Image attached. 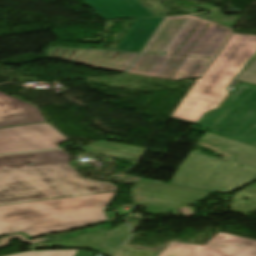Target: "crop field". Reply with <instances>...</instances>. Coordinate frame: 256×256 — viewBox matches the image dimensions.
Masks as SVG:
<instances>
[{
	"instance_id": "obj_20",
	"label": "crop field",
	"mask_w": 256,
	"mask_h": 256,
	"mask_svg": "<svg viewBox=\"0 0 256 256\" xmlns=\"http://www.w3.org/2000/svg\"><path fill=\"white\" fill-rule=\"evenodd\" d=\"M145 207H146V213H148V214H163V213L170 212L173 210L170 208H163V207L153 206V205H149V206H145Z\"/></svg>"
},
{
	"instance_id": "obj_10",
	"label": "crop field",
	"mask_w": 256,
	"mask_h": 256,
	"mask_svg": "<svg viewBox=\"0 0 256 256\" xmlns=\"http://www.w3.org/2000/svg\"><path fill=\"white\" fill-rule=\"evenodd\" d=\"M209 193L187 187L141 179L135 192V200L140 205L154 204L178 208L180 205H190Z\"/></svg>"
},
{
	"instance_id": "obj_5",
	"label": "crop field",
	"mask_w": 256,
	"mask_h": 256,
	"mask_svg": "<svg viewBox=\"0 0 256 256\" xmlns=\"http://www.w3.org/2000/svg\"><path fill=\"white\" fill-rule=\"evenodd\" d=\"M255 52L256 36L233 34L171 117L196 124L206 112L218 108L228 95L227 85Z\"/></svg>"
},
{
	"instance_id": "obj_7",
	"label": "crop field",
	"mask_w": 256,
	"mask_h": 256,
	"mask_svg": "<svg viewBox=\"0 0 256 256\" xmlns=\"http://www.w3.org/2000/svg\"><path fill=\"white\" fill-rule=\"evenodd\" d=\"M69 140L48 123L0 129V153L61 148Z\"/></svg>"
},
{
	"instance_id": "obj_15",
	"label": "crop field",
	"mask_w": 256,
	"mask_h": 256,
	"mask_svg": "<svg viewBox=\"0 0 256 256\" xmlns=\"http://www.w3.org/2000/svg\"><path fill=\"white\" fill-rule=\"evenodd\" d=\"M130 233V229L127 225H120L114 230H111L107 233L103 243L101 244L99 251L107 254L115 247L119 246Z\"/></svg>"
},
{
	"instance_id": "obj_22",
	"label": "crop field",
	"mask_w": 256,
	"mask_h": 256,
	"mask_svg": "<svg viewBox=\"0 0 256 256\" xmlns=\"http://www.w3.org/2000/svg\"><path fill=\"white\" fill-rule=\"evenodd\" d=\"M238 83H239V81L234 80V81L232 82L231 86H232V87H235Z\"/></svg>"
},
{
	"instance_id": "obj_18",
	"label": "crop field",
	"mask_w": 256,
	"mask_h": 256,
	"mask_svg": "<svg viewBox=\"0 0 256 256\" xmlns=\"http://www.w3.org/2000/svg\"><path fill=\"white\" fill-rule=\"evenodd\" d=\"M157 253L133 250L128 248L116 249L109 256H158Z\"/></svg>"
},
{
	"instance_id": "obj_14",
	"label": "crop field",
	"mask_w": 256,
	"mask_h": 256,
	"mask_svg": "<svg viewBox=\"0 0 256 256\" xmlns=\"http://www.w3.org/2000/svg\"><path fill=\"white\" fill-rule=\"evenodd\" d=\"M82 149L90 153L102 154L136 161H139L141 156L146 151V149L144 148L131 147L106 142H101L91 146L82 147Z\"/></svg>"
},
{
	"instance_id": "obj_16",
	"label": "crop field",
	"mask_w": 256,
	"mask_h": 256,
	"mask_svg": "<svg viewBox=\"0 0 256 256\" xmlns=\"http://www.w3.org/2000/svg\"><path fill=\"white\" fill-rule=\"evenodd\" d=\"M235 79L256 84V56Z\"/></svg>"
},
{
	"instance_id": "obj_17",
	"label": "crop field",
	"mask_w": 256,
	"mask_h": 256,
	"mask_svg": "<svg viewBox=\"0 0 256 256\" xmlns=\"http://www.w3.org/2000/svg\"><path fill=\"white\" fill-rule=\"evenodd\" d=\"M75 252L76 250L30 251L11 256H73Z\"/></svg>"
},
{
	"instance_id": "obj_19",
	"label": "crop field",
	"mask_w": 256,
	"mask_h": 256,
	"mask_svg": "<svg viewBox=\"0 0 256 256\" xmlns=\"http://www.w3.org/2000/svg\"><path fill=\"white\" fill-rule=\"evenodd\" d=\"M219 111H220V109L206 115L203 118V120L200 122L199 126H201L206 131V129L211 124V122L213 121V119L215 118V116L218 114Z\"/></svg>"
},
{
	"instance_id": "obj_4",
	"label": "crop field",
	"mask_w": 256,
	"mask_h": 256,
	"mask_svg": "<svg viewBox=\"0 0 256 256\" xmlns=\"http://www.w3.org/2000/svg\"><path fill=\"white\" fill-rule=\"evenodd\" d=\"M197 146L225 155L223 161L191 151L172 184L227 193L256 180V146L208 132Z\"/></svg>"
},
{
	"instance_id": "obj_12",
	"label": "crop field",
	"mask_w": 256,
	"mask_h": 256,
	"mask_svg": "<svg viewBox=\"0 0 256 256\" xmlns=\"http://www.w3.org/2000/svg\"><path fill=\"white\" fill-rule=\"evenodd\" d=\"M104 19L157 16L138 0H81Z\"/></svg>"
},
{
	"instance_id": "obj_3",
	"label": "crop field",
	"mask_w": 256,
	"mask_h": 256,
	"mask_svg": "<svg viewBox=\"0 0 256 256\" xmlns=\"http://www.w3.org/2000/svg\"><path fill=\"white\" fill-rule=\"evenodd\" d=\"M117 191L0 205V236L23 232L33 238L106 221Z\"/></svg>"
},
{
	"instance_id": "obj_11",
	"label": "crop field",
	"mask_w": 256,
	"mask_h": 256,
	"mask_svg": "<svg viewBox=\"0 0 256 256\" xmlns=\"http://www.w3.org/2000/svg\"><path fill=\"white\" fill-rule=\"evenodd\" d=\"M43 122L37 107L0 92V128Z\"/></svg>"
},
{
	"instance_id": "obj_6",
	"label": "crop field",
	"mask_w": 256,
	"mask_h": 256,
	"mask_svg": "<svg viewBox=\"0 0 256 256\" xmlns=\"http://www.w3.org/2000/svg\"><path fill=\"white\" fill-rule=\"evenodd\" d=\"M208 130L256 145V85H237Z\"/></svg>"
},
{
	"instance_id": "obj_8",
	"label": "crop field",
	"mask_w": 256,
	"mask_h": 256,
	"mask_svg": "<svg viewBox=\"0 0 256 256\" xmlns=\"http://www.w3.org/2000/svg\"><path fill=\"white\" fill-rule=\"evenodd\" d=\"M159 256H256V241L219 232L204 246L170 242Z\"/></svg>"
},
{
	"instance_id": "obj_21",
	"label": "crop field",
	"mask_w": 256,
	"mask_h": 256,
	"mask_svg": "<svg viewBox=\"0 0 256 256\" xmlns=\"http://www.w3.org/2000/svg\"><path fill=\"white\" fill-rule=\"evenodd\" d=\"M94 254V252L78 250L74 256H93Z\"/></svg>"
},
{
	"instance_id": "obj_2",
	"label": "crop field",
	"mask_w": 256,
	"mask_h": 256,
	"mask_svg": "<svg viewBox=\"0 0 256 256\" xmlns=\"http://www.w3.org/2000/svg\"><path fill=\"white\" fill-rule=\"evenodd\" d=\"M114 190V183L83 177L63 151L0 156V204Z\"/></svg>"
},
{
	"instance_id": "obj_9",
	"label": "crop field",
	"mask_w": 256,
	"mask_h": 256,
	"mask_svg": "<svg viewBox=\"0 0 256 256\" xmlns=\"http://www.w3.org/2000/svg\"><path fill=\"white\" fill-rule=\"evenodd\" d=\"M137 53L53 46L49 57L101 69L125 72Z\"/></svg>"
},
{
	"instance_id": "obj_1",
	"label": "crop field",
	"mask_w": 256,
	"mask_h": 256,
	"mask_svg": "<svg viewBox=\"0 0 256 256\" xmlns=\"http://www.w3.org/2000/svg\"><path fill=\"white\" fill-rule=\"evenodd\" d=\"M232 31L194 15L166 18L128 72L169 79L203 76Z\"/></svg>"
},
{
	"instance_id": "obj_13",
	"label": "crop field",
	"mask_w": 256,
	"mask_h": 256,
	"mask_svg": "<svg viewBox=\"0 0 256 256\" xmlns=\"http://www.w3.org/2000/svg\"><path fill=\"white\" fill-rule=\"evenodd\" d=\"M163 18L136 19L134 25L117 47L119 50L140 52Z\"/></svg>"
}]
</instances>
